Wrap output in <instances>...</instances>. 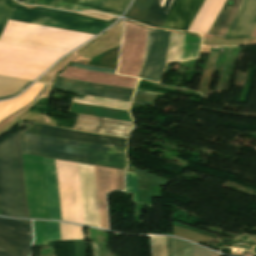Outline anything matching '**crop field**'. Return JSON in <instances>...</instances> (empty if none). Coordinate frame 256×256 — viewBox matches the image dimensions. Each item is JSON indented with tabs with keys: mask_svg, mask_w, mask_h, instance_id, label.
<instances>
[{
	"mask_svg": "<svg viewBox=\"0 0 256 256\" xmlns=\"http://www.w3.org/2000/svg\"><path fill=\"white\" fill-rule=\"evenodd\" d=\"M19 2L23 3L24 0H18Z\"/></svg>",
	"mask_w": 256,
	"mask_h": 256,
	"instance_id": "obj_39",
	"label": "crop field"
},
{
	"mask_svg": "<svg viewBox=\"0 0 256 256\" xmlns=\"http://www.w3.org/2000/svg\"><path fill=\"white\" fill-rule=\"evenodd\" d=\"M63 55L0 43V74L35 80Z\"/></svg>",
	"mask_w": 256,
	"mask_h": 256,
	"instance_id": "obj_4",
	"label": "crop field"
},
{
	"mask_svg": "<svg viewBox=\"0 0 256 256\" xmlns=\"http://www.w3.org/2000/svg\"><path fill=\"white\" fill-rule=\"evenodd\" d=\"M55 82L74 86V87H80V88H86V89H92V90H98V91H104V92H110V93H116V94H122V95H128V96H131L133 91L130 89L77 81V80L68 79L60 76H57Z\"/></svg>",
	"mask_w": 256,
	"mask_h": 256,
	"instance_id": "obj_17",
	"label": "crop field"
},
{
	"mask_svg": "<svg viewBox=\"0 0 256 256\" xmlns=\"http://www.w3.org/2000/svg\"><path fill=\"white\" fill-rule=\"evenodd\" d=\"M62 220L84 224L77 163L55 160Z\"/></svg>",
	"mask_w": 256,
	"mask_h": 256,
	"instance_id": "obj_6",
	"label": "crop field"
},
{
	"mask_svg": "<svg viewBox=\"0 0 256 256\" xmlns=\"http://www.w3.org/2000/svg\"><path fill=\"white\" fill-rule=\"evenodd\" d=\"M230 8L223 6L222 10L220 11L218 17L216 18L215 22L213 23L211 29L209 30L208 34L216 35L218 29L220 28L222 22L224 21L226 15L228 14Z\"/></svg>",
	"mask_w": 256,
	"mask_h": 256,
	"instance_id": "obj_29",
	"label": "crop field"
},
{
	"mask_svg": "<svg viewBox=\"0 0 256 256\" xmlns=\"http://www.w3.org/2000/svg\"><path fill=\"white\" fill-rule=\"evenodd\" d=\"M48 241L60 240L58 223L46 222Z\"/></svg>",
	"mask_w": 256,
	"mask_h": 256,
	"instance_id": "obj_30",
	"label": "crop field"
},
{
	"mask_svg": "<svg viewBox=\"0 0 256 256\" xmlns=\"http://www.w3.org/2000/svg\"><path fill=\"white\" fill-rule=\"evenodd\" d=\"M22 153L125 169L124 149L19 132Z\"/></svg>",
	"mask_w": 256,
	"mask_h": 256,
	"instance_id": "obj_2",
	"label": "crop field"
},
{
	"mask_svg": "<svg viewBox=\"0 0 256 256\" xmlns=\"http://www.w3.org/2000/svg\"><path fill=\"white\" fill-rule=\"evenodd\" d=\"M34 0H25L24 4H33Z\"/></svg>",
	"mask_w": 256,
	"mask_h": 256,
	"instance_id": "obj_36",
	"label": "crop field"
},
{
	"mask_svg": "<svg viewBox=\"0 0 256 256\" xmlns=\"http://www.w3.org/2000/svg\"><path fill=\"white\" fill-rule=\"evenodd\" d=\"M165 244L166 256H191L188 242L165 237Z\"/></svg>",
	"mask_w": 256,
	"mask_h": 256,
	"instance_id": "obj_20",
	"label": "crop field"
},
{
	"mask_svg": "<svg viewBox=\"0 0 256 256\" xmlns=\"http://www.w3.org/2000/svg\"><path fill=\"white\" fill-rule=\"evenodd\" d=\"M176 0H154L142 24L161 28ZM204 0H177L162 28L187 31Z\"/></svg>",
	"mask_w": 256,
	"mask_h": 256,
	"instance_id": "obj_5",
	"label": "crop field"
},
{
	"mask_svg": "<svg viewBox=\"0 0 256 256\" xmlns=\"http://www.w3.org/2000/svg\"><path fill=\"white\" fill-rule=\"evenodd\" d=\"M185 35L171 33L167 62L181 61Z\"/></svg>",
	"mask_w": 256,
	"mask_h": 256,
	"instance_id": "obj_21",
	"label": "crop field"
},
{
	"mask_svg": "<svg viewBox=\"0 0 256 256\" xmlns=\"http://www.w3.org/2000/svg\"><path fill=\"white\" fill-rule=\"evenodd\" d=\"M152 1L153 0H137L127 13L126 18L141 23Z\"/></svg>",
	"mask_w": 256,
	"mask_h": 256,
	"instance_id": "obj_23",
	"label": "crop field"
},
{
	"mask_svg": "<svg viewBox=\"0 0 256 256\" xmlns=\"http://www.w3.org/2000/svg\"><path fill=\"white\" fill-rule=\"evenodd\" d=\"M256 25V0H245L225 38L250 36Z\"/></svg>",
	"mask_w": 256,
	"mask_h": 256,
	"instance_id": "obj_12",
	"label": "crop field"
},
{
	"mask_svg": "<svg viewBox=\"0 0 256 256\" xmlns=\"http://www.w3.org/2000/svg\"><path fill=\"white\" fill-rule=\"evenodd\" d=\"M170 33L150 30L141 78L158 82L165 67Z\"/></svg>",
	"mask_w": 256,
	"mask_h": 256,
	"instance_id": "obj_8",
	"label": "crop field"
},
{
	"mask_svg": "<svg viewBox=\"0 0 256 256\" xmlns=\"http://www.w3.org/2000/svg\"><path fill=\"white\" fill-rule=\"evenodd\" d=\"M135 94H138V95H145V96H152V97H155L156 95H153V94H146V93H139V92H136Z\"/></svg>",
	"mask_w": 256,
	"mask_h": 256,
	"instance_id": "obj_35",
	"label": "crop field"
},
{
	"mask_svg": "<svg viewBox=\"0 0 256 256\" xmlns=\"http://www.w3.org/2000/svg\"><path fill=\"white\" fill-rule=\"evenodd\" d=\"M53 88L68 91V92H72V93H78V94H84V95H90V96H96V97H102V98H108V99H114V100H120V101H126V102H129L130 98H131V97H128V96H122V95H116V94H110V93H104V92L74 88V87L60 85V84H56V83H53Z\"/></svg>",
	"mask_w": 256,
	"mask_h": 256,
	"instance_id": "obj_19",
	"label": "crop field"
},
{
	"mask_svg": "<svg viewBox=\"0 0 256 256\" xmlns=\"http://www.w3.org/2000/svg\"><path fill=\"white\" fill-rule=\"evenodd\" d=\"M132 123L80 114L75 129L126 137Z\"/></svg>",
	"mask_w": 256,
	"mask_h": 256,
	"instance_id": "obj_11",
	"label": "crop field"
},
{
	"mask_svg": "<svg viewBox=\"0 0 256 256\" xmlns=\"http://www.w3.org/2000/svg\"><path fill=\"white\" fill-rule=\"evenodd\" d=\"M0 209L4 216L29 218L18 133L0 142Z\"/></svg>",
	"mask_w": 256,
	"mask_h": 256,
	"instance_id": "obj_3",
	"label": "crop field"
},
{
	"mask_svg": "<svg viewBox=\"0 0 256 256\" xmlns=\"http://www.w3.org/2000/svg\"><path fill=\"white\" fill-rule=\"evenodd\" d=\"M38 134L124 148L125 139L42 125Z\"/></svg>",
	"mask_w": 256,
	"mask_h": 256,
	"instance_id": "obj_10",
	"label": "crop field"
},
{
	"mask_svg": "<svg viewBox=\"0 0 256 256\" xmlns=\"http://www.w3.org/2000/svg\"><path fill=\"white\" fill-rule=\"evenodd\" d=\"M50 219L60 220L54 160L43 158Z\"/></svg>",
	"mask_w": 256,
	"mask_h": 256,
	"instance_id": "obj_14",
	"label": "crop field"
},
{
	"mask_svg": "<svg viewBox=\"0 0 256 256\" xmlns=\"http://www.w3.org/2000/svg\"><path fill=\"white\" fill-rule=\"evenodd\" d=\"M73 101L94 104V105H100V106H106V107H112V108H118V109H124V110H127V107L129 104L126 102H120V101H114V100H108V99H102V98H96V97H90V96H86L81 99L74 98Z\"/></svg>",
	"mask_w": 256,
	"mask_h": 256,
	"instance_id": "obj_22",
	"label": "crop field"
},
{
	"mask_svg": "<svg viewBox=\"0 0 256 256\" xmlns=\"http://www.w3.org/2000/svg\"><path fill=\"white\" fill-rule=\"evenodd\" d=\"M27 82H28V80L0 76V96H5V95L14 93L16 90H18L20 87H22ZM31 82H33V81L28 82L26 85H24L18 91H16L14 94L5 96V97H0V99L11 97V96L18 94L25 87H27Z\"/></svg>",
	"mask_w": 256,
	"mask_h": 256,
	"instance_id": "obj_18",
	"label": "crop field"
},
{
	"mask_svg": "<svg viewBox=\"0 0 256 256\" xmlns=\"http://www.w3.org/2000/svg\"><path fill=\"white\" fill-rule=\"evenodd\" d=\"M243 0H236L233 7L231 8L218 36H222L224 37L226 31L228 30L230 24L232 23L234 17L236 16L241 4H242Z\"/></svg>",
	"mask_w": 256,
	"mask_h": 256,
	"instance_id": "obj_27",
	"label": "crop field"
},
{
	"mask_svg": "<svg viewBox=\"0 0 256 256\" xmlns=\"http://www.w3.org/2000/svg\"><path fill=\"white\" fill-rule=\"evenodd\" d=\"M200 42L201 38L186 35L182 61L198 56Z\"/></svg>",
	"mask_w": 256,
	"mask_h": 256,
	"instance_id": "obj_24",
	"label": "crop field"
},
{
	"mask_svg": "<svg viewBox=\"0 0 256 256\" xmlns=\"http://www.w3.org/2000/svg\"><path fill=\"white\" fill-rule=\"evenodd\" d=\"M44 85L45 84L35 83L16 98L0 102V121L30 103Z\"/></svg>",
	"mask_w": 256,
	"mask_h": 256,
	"instance_id": "obj_15",
	"label": "crop field"
},
{
	"mask_svg": "<svg viewBox=\"0 0 256 256\" xmlns=\"http://www.w3.org/2000/svg\"><path fill=\"white\" fill-rule=\"evenodd\" d=\"M78 0H55L52 7L66 9V10H74Z\"/></svg>",
	"mask_w": 256,
	"mask_h": 256,
	"instance_id": "obj_32",
	"label": "crop field"
},
{
	"mask_svg": "<svg viewBox=\"0 0 256 256\" xmlns=\"http://www.w3.org/2000/svg\"><path fill=\"white\" fill-rule=\"evenodd\" d=\"M138 91V90H137ZM139 92H144V91H139ZM146 93H153V92H146ZM153 94H160V95H163L161 93H153Z\"/></svg>",
	"mask_w": 256,
	"mask_h": 256,
	"instance_id": "obj_38",
	"label": "crop field"
},
{
	"mask_svg": "<svg viewBox=\"0 0 256 256\" xmlns=\"http://www.w3.org/2000/svg\"><path fill=\"white\" fill-rule=\"evenodd\" d=\"M106 1L107 0H79L77 6L100 11V9L103 7ZM130 1L131 0H129L128 2L127 0H108L107 3L104 5V7L101 9V11L118 15L122 7L127 2L125 7L119 14L120 16Z\"/></svg>",
	"mask_w": 256,
	"mask_h": 256,
	"instance_id": "obj_16",
	"label": "crop field"
},
{
	"mask_svg": "<svg viewBox=\"0 0 256 256\" xmlns=\"http://www.w3.org/2000/svg\"><path fill=\"white\" fill-rule=\"evenodd\" d=\"M61 240L83 239L82 227L59 223Z\"/></svg>",
	"mask_w": 256,
	"mask_h": 256,
	"instance_id": "obj_25",
	"label": "crop field"
},
{
	"mask_svg": "<svg viewBox=\"0 0 256 256\" xmlns=\"http://www.w3.org/2000/svg\"><path fill=\"white\" fill-rule=\"evenodd\" d=\"M136 183H137V174L127 171L126 190L134 192V202H136Z\"/></svg>",
	"mask_w": 256,
	"mask_h": 256,
	"instance_id": "obj_31",
	"label": "crop field"
},
{
	"mask_svg": "<svg viewBox=\"0 0 256 256\" xmlns=\"http://www.w3.org/2000/svg\"><path fill=\"white\" fill-rule=\"evenodd\" d=\"M10 19L94 34L111 24L110 22L50 9L27 10L17 4L14 6ZM11 20L8 21L1 42L67 53L95 36L94 34Z\"/></svg>",
	"mask_w": 256,
	"mask_h": 256,
	"instance_id": "obj_1",
	"label": "crop field"
},
{
	"mask_svg": "<svg viewBox=\"0 0 256 256\" xmlns=\"http://www.w3.org/2000/svg\"><path fill=\"white\" fill-rule=\"evenodd\" d=\"M14 4L12 0H0V39Z\"/></svg>",
	"mask_w": 256,
	"mask_h": 256,
	"instance_id": "obj_26",
	"label": "crop field"
},
{
	"mask_svg": "<svg viewBox=\"0 0 256 256\" xmlns=\"http://www.w3.org/2000/svg\"><path fill=\"white\" fill-rule=\"evenodd\" d=\"M225 1L206 0L189 31L207 34Z\"/></svg>",
	"mask_w": 256,
	"mask_h": 256,
	"instance_id": "obj_13",
	"label": "crop field"
},
{
	"mask_svg": "<svg viewBox=\"0 0 256 256\" xmlns=\"http://www.w3.org/2000/svg\"><path fill=\"white\" fill-rule=\"evenodd\" d=\"M153 256H165L164 237H152Z\"/></svg>",
	"mask_w": 256,
	"mask_h": 256,
	"instance_id": "obj_28",
	"label": "crop field"
},
{
	"mask_svg": "<svg viewBox=\"0 0 256 256\" xmlns=\"http://www.w3.org/2000/svg\"><path fill=\"white\" fill-rule=\"evenodd\" d=\"M31 222L0 218V256H29Z\"/></svg>",
	"mask_w": 256,
	"mask_h": 256,
	"instance_id": "obj_7",
	"label": "crop field"
},
{
	"mask_svg": "<svg viewBox=\"0 0 256 256\" xmlns=\"http://www.w3.org/2000/svg\"><path fill=\"white\" fill-rule=\"evenodd\" d=\"M128 171L137 172V173H139V174H141L143 176H146V177H148V178H150V179H152V180H154V181H156V182H158V183H160V184H162L164 186H166L167 183L169 182V180H167V179H164L162 177L150 174V173L145 172V171L137 170V169H134V168H130L129 167Z\"/></svg>",
	"mask_w": 256,
	"mask_h": 256,
	"instance_id": "obj_33",
	"label": "crop field"
},
{
	"mask_svg": "<svg viewBox=\"0 0 256 256\" xmlns=\"http://www.w3.org/2000/svg\"><path fill=\"white\" fill-rule=\"evenodd\" d=\"M132 103H139V104H147V105H153V104H150V103H143V102H136V101H133Z\"/></svg>",
	"mask_w": 256,
	"mask_h": 256,
	"instance_id": "obj_37",
	"label": "crop field"
},
{
	"mask_svg": "<svg viewBox=\"0 0 256 256\" xmlns=\"http://www.w3.org/2000/svg\"><path fill=\"white\" fill-rule=\"evenodd\" d=\"M54 0H36L35 4L51 7Z\"/></svg>",
	"mask_w": 256,
	"mask_h": 256,
	"instance_id": "obj_34",
	"label": "crop field"
},
{
	"mask_svg": "<svg viewBox=\"0 0 256 256\" xmlns=\"http://www.w3.org/2000/svg\"><path fill=\"white\" fill-rule=\"evenodd\" d=\"M85 224L100 227L94 167L78 163Z\"/></svg>",
	"mask_w": 256,
	"mask_h": 256,
	"instance_id": "obj_9",
	"label": "crop field"
}]
</instances>
